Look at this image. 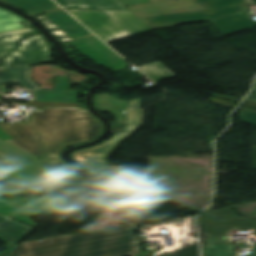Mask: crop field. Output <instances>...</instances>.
<instances>
[{
  "label": "crop field",
  "mask_w": 256,
  "mask_h": 256,
  "mask_svg": "<svg viewBox=\"0 0 256 256\" xmlns=\"http://www.w3.org/2000/svg\"><path fill=\"white\" fill-rule=\"evenodd\" d=\"M26 121L42 137L47 158L41 159L42 183L46 192L71 194L85 189L82 177L59 157L67 146L97 139L104 126L86 109L31 108Z\"/></svg>",
  "instance_id": "8a807250"
},
{
  "label": "crop field",
  "mask_w": 256,
  "mask_h": 256,
  "mask_svg": "<svg viewBox=\"0 0 256 256\" xmlns=\"http://www.w3.org/2000/svg\"><path fill=\"white\" fill-rule=\"evenodd\" d=\"M139 252L132 224L20 244L11 256H128Z\"/></svg>",
  "instance_id": "ac0d7876"
},
{
  "label": "crop field",
  "mask_w": 256,
  "mask_h": 256,
  "mask_svg": "<svg viewBox=\"0 0 256 256\" xmlns=\"http://www.w3.org/2000/svg\"><path fill=\"white\" fill-rule=\"evenodd\" d=\"M202 10L141 18L151 29L210 21L223 37L256 27L243 6L249 0H193ZM237 12H241L238 14Z\"/></svg>",
  "instance_id": "34b2d1b8"
},
{
  "label": "crop field",
  "mask_w": 256,
  "mask_h": 256,
  "mask_svg": "<svg viewBox=\"0 0 256 256\" xmlns=\"http://www.w3.org/2000/svg\"><path fill=\"white\" fill-rule=\"evenodd\" d=\"M68 11L107 43L151 31L129 10L88 11L73 9Z\"/></svg>",
  "instance_id": "412701ff"
},
{
  "label": "crop field",
  "mask_w": 256,
  "mask_h": 256,
  "mask_svg": "<svg viewBox=\"0 0 256 256\" xmlns=\"http://www.w3.org/2000/svg\"><path fill=\"white\" fill-rule=\"evenodd\" d=\"M141 98L127 101L125 115V132L116 134L112 139L75 151L70 157L92 176L111 175L105 156L111 149L140 125Z\"/></svg>",
  "instance_id": "f4fd0767"
},
{
  "label": "crop field",
  "mask_w": 256,
  "mask_h": 256,
  "mask_svg": "<svg viewBox=\"0 0 256 256\" xmlns=\"http://www.w3.org/2000/svg\"><path fill=\"white\" fill-rule=\"evenodd\" d=\"M26 191L0 185V196L27 195ZM39 196L27 198H0V214L23 222L32 227L37 225L28 218L46 213L50 217L68 206L73 201L38 199ZM34 201L32 203L31 201Z\"/></svg>",
  "instance_id": "dd49c442"
},
{
  "label": "crop field",
  "mask_w": 256,
  "mask_h": 256,
  "mask_svg": "<svg viewBox=\"0 0 256 256\" xmlns=\"http://www.w3.org/2000/svg\"><path fill=\"white\" fill-rule=\"evenodd\" d=\"M0 177L39 189L40 160L0 139Z\"/></svg>",
  "instance_id": "e52e79f7"
},
{
  "label": "crop field",
  "mask_w": 256,
  "mask_h": 256,
  "mask_svg": "<svg viewBox=\"0 0 256 256\" xmlns=\"http://www.w3.org/2000/svg\"><path fill=\"white\" fill-rule=\"evenodd\" d=\"M204 233H208L209 238H203L202 256H235L236 252L229 250L233 243L227 241H220L219 237L225 235L227 232L236 229L247 231V229H255L256 233V217L205 225L202 226Z\"/></svg>",
  "instance_id": "d8731c3e"
},
{
  "label": "crop field",
  "mask_w": 256,
  "mask_h": 256,
  "mask_svg": "<svg viewBox=\"0 0 256 256\" xmlns=\"http://www.w3.org/2000/svg\"><path fill=\"white\" fill-rule=\"evenodd\" d=\"M69 42L80 54L87 56L94 63L103 65L107 69L116 71L128 66L123 62L124 59L94 35Z\"/></svg>",
  "instance_id": "5a996713"
},
{
  "label": "crop field",
  "mask_w": 256,
  "mask_h": 256,
  "mask_svg": "<svg viewBox=\"0 0 256 256\" xmlns=\"http://www.w3.org/2000/svg\"><path fill=\"white\" fill-rule=\"evenodd\" d=\"M51 61V52L44 50L39 37H30L21 42L13 53L0 63V68L34 66Z\"/></svg>",
  "instance_id": "3316defc"
},
{
  "label": "crop field",
  "mask_w": 256,
  "mask_h": 256,
  "mask_svg": "<svg viewBox=\"0 0 256 256\" xmlns=\"http://www.w3.org/2000/svg\"><path fill=\"white\" fill-rule=\"evenodd\" d=\"M151 3L129 6L139 17L200 9L191 0H149ZM137 16V17H138Z\"/></svg>",
  "instance_id": "28ad6ade"
},
{
  "label": "crop field",
  "mask_w": 256,
  "mask_h": 256,
  "mask_svg": "<svg viewBox=\"0 0 256 256\" xmlns=\"http://www.w3.org/2000/svg\"><path fill=\"white\" fill-rule=\"evenodd\" d=\"M0 127L6 131L15 140L8 142L38 156L45 157L42 153L38 134L22 122L10 125L8 121L0 124Z\"/></svg>",
  "instance_id": "d1516ede"
},
{
  "label": "crop field",
  "mask_w": 256,
  "mask_h": 256,
  "mask_svg": "<svg viewBox=\"0 0 256 256\" xmlns=\"http://www.w3.org/2000/svg\"><path fill=\"white\" fill-rule=\"evenodd\" d=\"M111 168L117 193L138 194V191L147 189L148 172L132 171L120 166Z\"/></svg>",
  "instance_id": "22f410ed"
},
{
  "label": "crop field",
  "mask_w": 256,
  "mask_h": 256,
  "mask_svg": "<svg viewBox=\"0 0 256 256\" xmlns=\"http://www.w3.org/2000/svg\"><path fill=\"white\" fill-rule=\"evenodd\" d=\"M33 230L25 224L12 219L8 221L0 216V239L6 243V248L0 256H10L17 245Z\"/></svg>",
  "instance_id": "cbeb9de0"
},
{
  "label": "crop field",
  "mask_w": 256,
  "mask_h": 256,
  "mask_svg": "<svg viewBox=\"0 0 256 256\" xmlns=\"http://www.w3.org/2000/svg\"><path fill=\"white\" fill-rule=\"evenodd\" d=\"M44 14L71 40L92 34L64 10H55Z\"/></svg>",
  "instance_id": "5142ce71"
},
{
  "label": "crop field",
  "mask_w": 256,
  "mask_h": 256,
  "mask_svg": "<svg viewBox=\"0 0 256 256\" xmlns=\"http://www.w3.org/2000/svg\"><path fill=\"white\" fill-rule=\"evenodd\" d=\"M93 102L98 112H109L118 124H124L125 101L113 99L109 94H99L94 96Z\"/></svg>",
  "instance_id": "d9b57169"
},
{
  "label": "crop field",
  "mask_w": 256,
  "mask_h": 256,
  "mask_svg": "<svg viewBox=\"0 0 256 256\" xmlns=\"http://www.w3.org/2000/svg\"><path fill=\"white\" fill-rule=\"evenodd\" d=\"M64 8L77 7L87 9H125L118 0H57ZM60 4V5H61Z\"/></svg>",
  "instance_id": "733c2abd"
},
{
  "label": "crop field",
  "mask_w": 256,
  "mask_h": 256,
  "mask_svg": "<svg viewBox=\"0 0 256 256\" xmlns=\"http://www.w3.org/2000/svg\"><path fill=\"white\" fill-rule=\"evenodd\" d=\"M34 99L46 102L77 103L76 92L61 90H37L34 91Z\"/></svg>",
  "instance_id": "4a817a6b"
},
{
  "label": "crop field",
  "mask_w": 256,
  "mask_h": 256,
  "mask_svg": "<svg viewBox=\"0 0 256 256\" xmlns=\"http://www.w3.org/2000/svg\"><path fill=\"white\" fill-rule=\"evenodd\" d=\"M8 3H11L24 11L28 12L31 15L38 14L40 12L56 9L59 6L54 3L52 0H3Z\"/></svg>",
  "instance_id": "bc2a9ffb"
},
{
  "label": "crop field",
  "mask_w": 256,
  "mask_h": 256,
  "mask_svg": "<svg viewBox=\"0 0 256 256\" xmlns=\"http://www.w3.org/2000/svg\"><path fill=\"white\" fill-rule=\"evenodd\" d=\"M32 31L31 28L0 34V62L18 47V41L23 33Z\"/></svg>",
  "instance_id": "214f88e0"
},
{
  "label": "crop field",
  "mask_w": 256,
  "mask_h": 256,
  "mask_svg": "<svg viewBox=\"0 0 256 256\" xmlns=\"http://www.w3.org/2000/svg\"><path fill=\"white\" fill-rule=\"evenodd\" d=\"M234 219H240V217L230 208H225L221 210L205 212L203 215L199 216V224L205 225Z\"/></svg>",
  "instance_id": "92a150f3"
},
{
  "label": "crop field",
  "mask_w": 256,
  "mask_h": 256,
  "mask_svg": "<svg viewBox=\"0 0 256 256\" xmlns=\"http://www.w3.org/2000/svg\"><path fill=\"white\" fill-rule=\"evenodd\" d=\"M147 76H149L153 81L161 80L174 75L160 62H154L138 67Z\"/></svg>",
  "instance_id": "dafd665d"
},
{
  "label": "crop field",
  "mask_w": 256,
  "mask_h": 256,
  "mask_svg": "<svg viewBox=\"0 0 256 256\" xmlns=\"http://www.w3.org/2000/svg\"><path fill=\"white\" fill-rule=\"evenodd\" d=\"M25 20L22 16L0 9V32L23 28L20 24Z\"/></svg>",
  "instance_id": "00972430"
},
{
  "label": "crop field",
  "mask_w": 256,
  "mask_h": 256,
  "mask_svg": "<svg viewBox=\"0 0 256 256\" xmlns=\"http://www.w3.org/2000/svg\"><path fill=\"white\" fill-rule=\"evenodd\" d=\"M52 35L60 42L70 40L60 29H58L44 14L34 16Z\"/></svg>",
  "instance_id": "a9b5d70f"
},
{
  "label": "crop field",
  "mask_w": 256,
  "mask_h": 256,
  "mask_svg": "<svg viewBox=\"0 0 256 256\" xmlns=\"http://www.w3.org/2000/svg\"><path fill=\"white\" fill-rule=\"evenodd\" d=\"M15 82H21L24 87L27 89H36L38 88L30 79H29V67L15 69Z\"/></svg>",
  "instance_id": "4177f3b9"
},
{
  "label": "crop field",
  "mask_w": 256,
  "mask_h": 256,
  "mask_svg": "<svg viewBox=\"0 0 256 256\" xmlns=\"http://www.w3.org/2000/svg\"><path fill=\"white\" fill-rule=\"evenodd\" d=\"M14 82V68L0 69V83Z\"/></svg>",
  "instance_id": "730fd06b"
},
{
  "label": "crop field",
  "mask_w": 256,
  "mask_h": 256,
  "mask_svg": "<svg viewBox=\"0 0 256 256\" xmlns=\"http://www.w3.org/2000/svg\"><path fill=\"white\" fill-rule=\"evenodd\" d=\"M242 121L256 125V113L240 111Z\"/></svg>",
  "instance_id": "eef30255"
},
{
  "label": "crop field",
  "mask_w": 256,
  "mask_h": 256,
  "mask_svg": "<svg viewBox=\"0 0 256 256\" xmlns=\"http://www.w3.org/2000/svg\"><path fill=\"white\" fill-rule=\"evenodd\" d=\"M32 29H33V32L24 34L22 36V38L20 39V41L23 40L26 37L37 35V36H39L41 38V40H42V42L44 44L45 49H49L50 46H49L48 42H46V39L41 34L38 33L39 31L35 27H33Z\"/></svg>",
  "instance_id": "ae1a2a85"
},
{
  "label": "crop field",
  "mask_w": 256,
  "mask_h": 256,
  "mask_svg": "<svg viewBox=\"0 0 256 256\" xmlns=\"http://www.w3.org/2000/svg\"><path fill=\"white\" fill-rule=\"evenodd\" d=\"M209 102L233 109L236 104L211 97Z\"/></svg>",
  "instance_id": "d3111659"
},
{
  "label": "crop field",
  "mask_w": 256,
  "mask_h": 256,
  "mask_svg": "<svg viewBox=\"0 0 256 256\" xmlns=\"http://www.w3.org/2000/svg\"><path fill=\"white\" fill-rule=\"evenodd\" d=\"M119 1H120L121 3H123L125 6L149 2L148 0H119Z\"/></svg>",
  "instance_id": "750c4746"
},
{
  "label": "crop field",
  "mask_w": 256,
  "mask_h": 256,
  "mask_svg": "<svg viewBox=\"0 0 256 256\" xmlns=\"http://www.w3.org/2000/svg\"><path fill=\"white\" fill-rule=\"evenodd\" d=\"M214 97H218V98L229 100V101L236 102V103H238V101H239L238 98H233V97H228V96H223V95H218V94H215Z\"/></svg>",
  "instance_id": "bd1437ed"
},
{
  "label": "crop field",
  "mask_w": 256,
  "mask_h": 256,
  "mask_svg": "<svg viewBox=\"0 0 256 256\" xmlns=\"http://www.w3.org/2000/svg\"><path fill=\"white\" fill-rule=\"evenodd\" d=\"M241 105L251 107V108H256V102H253V101L244 100Z\"/></svg>",
  "instance_id": "1d83c4d3"
},
{
  "label": "crop field",
  "mask_w": 256,
  "mask_h": 256,
  "mask_svg": "<svg viewBox=\"0 0 256 256\" xmlns=\"http://www.w3.org/2000/svg\"><path fill=\"white\" fill-rule=\"evenodd\" d=\"M245 256H256V243L253 244L252 252Z\"/></svg>",
  "instance_id": "120bbe31"
},
{
  "label": "crop field",
  "mask_w": 256,
  "mask_h": 256,
  "mask_svg": "<svg viewBox=\"0 0 256 256\" xmlns=\"http://www.w3.org/2000/svg\"><path fill=\"white\" fill-rule=\"evenodd\" d=\"M245 99L256 101V94L249 95Z\"/></svg>",
  "instance_id": "d32e631a"
},
{
  "label": "crop field",
  "mask_w": 256,
  "mask_h": 256,
  "mask_svg": "<svg viewBox=\"0 0 256 256\" xmlns=\"http://www.w3.org/2000/svg\"><path fill=\"white\" fill-rule=\"evenodd\" d=\"M237 110L256 112V110L254 109H248V108H242V107H239Z\"/></svg>",
  "instance_id": "5866460e"
}]
</instances>
